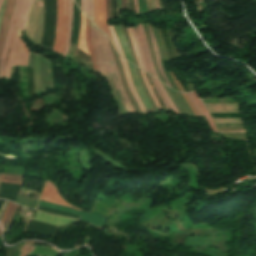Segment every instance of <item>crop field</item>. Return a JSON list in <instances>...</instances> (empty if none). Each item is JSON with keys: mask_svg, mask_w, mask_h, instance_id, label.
Segmentation results:
<instances>
[{"mask_svg": "<svg viewBox=\"0 0 256 256\" xmlns=\"http://www.w3.org/2000/svg\"><path fill=\"white\" fill-rule=\"evenodd\" d=\"M91 36L94 51L96 53L98 72L103 76H111L116 88L118 97L121 101L122 109L125 114L135 112L128 97L123 89L121 78L115 65L114 57L111 52L108 38L98 28L91 23Z\"/></svg>", "mask_w": 256, "mask_h": 256, "instance_id": "8a807250", "label": "crop field"}, {"mask_svg": "<svg viewBox=\"0 0 256 256\" xmlns=\"http://www.w3.org/2000/svg\"><path fill=\"white\" fill-rule=\"evenodd\" d=\"M2 1H3V0H0V7H1Z\"/></svg>", "mask_w": 256, "mask_h": 256, "instance_id": "5866460e", "label": "crop field"}, {"mask_svg": "<svg viewBox=\"0 0 256 256\" xmlns=\"http://www.w3.org/2000/svg\"><path fill=\"white\" fill-rule=\"evenodd\" d=\"M34 220L41 221V222L48 223V224L57 225V226H60L63 224H68V223H73V222H78L76 220L53 216V215H49V214H44V213H40L38 211H37V214H36Z\"/></svg>", "mask_w": 256, "mask_h": 256, "instance_id": "e52e79f7", "label": "crop field"}, {"mask_svg": "<svg viewBox=\"0 0 256 256\" xmlns=\"http://www.w3.org/2000/svg\"><path fill=\"white\" fill-rule=\"evenodd\" d=\"M155 3H156L157 9H160L159 4H158V0H155Z\"/></svg>", "mask_w": 256, "mask_h": 256, "instance_id": "d32e631a", "label": "crop field"}, {"mask_svg": "<svg viewBox=\"0 0 256 256\" xmlns=\"http://www.w3.org/2000/svg\"><path fill=\"white\" fill-rule=\"evenodd\" d=\"M78 45H80L82 48H84L86 51H88L87 46H86V36H85V16L83 15L82 12H81V31H80Z\"/></svg>", "mask_w": 256, "mask_h": 256, "instance_id": "5142ce71", "label": "crop field"}, {"mask_svg": "<svg viewBox=\"0 0 256 256\" xmlns=\"http://www.w3.org/2000/svg\"><path fill=\"white\" fill-rule=\"evenodd\" d=\"M111 19L117 17V0H110Z\"/></svg>", "mask_w": 256, "mask_h": 256, "instance_id": "92a150f3", "label": "crop field"}, {"mask_svg": "<svg viewBox=\"0 0 256 256\" xmlns=\"http://www.w3.org/2000/svg\"><path fill=\"white\" fill-rule=\"evenodd\" d=\"M150 78H151L153 84L155 85V87H156V89H157V91H158V93H159V95H160V97H161L163 103L165 104L167 110H168V111H172V109L170 108V106H169L168 103L166 102V100H165V98H164V96H163L161 90L159 89L158 85L156 84L154 78L151 77V76H150Z\"/></svg>", "mask_w": 256, "mask_h": 256, "instance_id": "214f88e0", "label": "crop field"}, {"mask_svg": "<svg viewBox=\"0 0 256 256\" xmlns=\"http://www.w3.org/2000/svg\"><path fill=\"white\" fill-rule=\"evenodd\" d=\"M146 25L148 27V30H149V33H150V37H151V40H152V43H153V46H154L156 60H157V64H158L160 73H161V75H162L166 85H168V86H170L172 88L171 84L169 83V81H168V79H167V77H166V75H165V73H164V71H163V69L161 67L160 60H159V55H158V50H157V46H156V42H155V39H154V35H153V32H152L151 25H149V24H146Z\"/></svg>", "mask_w": 256, "mask_h": 256, "instance_id": "d1516ede", "label": "crop field"}, {"mask_svg": "<svg viewBox=\"0 0 256 256\" xmlns=\"http://www.w3.org/2000/svg\"><path fill=\"white\" fill-rule=\"evenodd\" d=\"M1 175V174H0Z\"/></svg>", "mask_w": 256, "mask_h": 256, "instance_id": "028f5c9d", "label": "crop field"}, {"mask_svg": "<svg viewBox=\"0 0 256 256\" xmlns=\"http://www.w3.org/2000/svg\"><path fill=\"white\" fill-rule=\"evenodd\" d=\"M134 5H135L136 14H138L139 13L138 0H134Z\"/></svg>", "mask_w": 256, "mask_h": 256, "instance_id": "d3111659", "label": "crop field"}, {"mask_svg": "<svg viewBox=\"0 0 256 256\" xmlns=\"http://www.w3.org/2000/svg\"><path fill=\"white\" fill-rule=\"evenodd\" d=\"M191 93H192L193 97L195 98V100L197 101V103L200 106V108L202 109V111H203V113H204V115H205V117H206V119H207V121H208V123H209V125H210V127L212 129V131L218 132L216 127L213 124L212 118L208 114V112H207L205 106L202 104L200 98L197 96V94L195 92H191Z\"/></svg>", "mask_w": 256, "mask_h": 256, "instance_id": "cbeb9de0", "label": "crop field"}, {"mask_svg": "<svg viewBox=\"0 0 256 256\" xmlns=\"http://www.w3.org/2000/svg\"><path fill=\"white\" fill-rule=\"evenodd\" d=\"M72 22H73V0H70V17H69V29H68V37H67V43H66V48L63 56L65 57L70 41H71V35H72Z\"/></svg>", "mask_w": 256, "mask_h": 256, "instance_id": "d9b57169", "label": "crop field"}, {"mask_svg": "<svg viewBox=\"0 0 256 256\" xmlns=\"http://www.w3.org/2000/svg\"><path fill=\"white\" fill-rule=\"evenodd\" d=\"M182 95L185 98L186 102L188 103L189 107L191 108L192 112L194 113L195 117H200L199 114L197 113V111L195 110V108L193 107V105L191 104L190 100L186 96V94L182 93Z\"/></svg>", "mask_w": 256, "mask_h": 256, "instance_id": "4177f3b9", "label": "crop field"}, {"mask_svg": "<svg viewBox=\"0 0 256 256\" xmlns=\"http://www.w3.org/2000/svg\"><path fill=\"white\" fill-rule=\"evenodd\" d=\"M18 207H19V205L12 204V203L9 202V204H8L4 214H3L2 220H1V223H2L3 228H4V233L8 232L9 225H10Z\"/></svg>", "mask_w": 256, "mask_h": 256, "instance_id": "d8731c3e", "label": "crop field"}, {"mask_svg": "<svg viewBox=\"0 0 256 256\" xmlns=\"http://www.w3.org/2000/svg\"><path fill=\"white\" fill-rule=\"evenodd\" d=\"M22 179H23V177H20V176H12V175L3 174L1 181L21 185Z\"/></svg>", "mask_w": 256, "mask_h": 256, "instance_id": "4a817a6b", "label": "crop field"}, {"mask_svg": "<svg viewBox=\"0 0 256 256\" xmlns=\"http://www.w3.org/2000/svg\"><path fill=\"white\" fill-rule=\"evenodd\" d=\"M155 80H156V79H155ZM156 81H157V83L159 84V86H160V88H161L163 94L165 95V97H166V99H167L169 105L172 107V109H173V111L175 112V114H179L178 111L175 109V107H174L172 101L170 100L169 96L167 95L166 91L164 90V88H163L162 84L160 83V81H158V80H156Z\"/></svg>", "mask_w": 256, "mask_h": 256, "instance_id": "00972430", "label": "crop field"}, {"mask_svg": "<svg viewBox=\"0 0 256 256\" xmlns=\"http://www.w3.org/2000/svg\"><path fill=\"white\" fill-rule=\"evenodd\" d=\"M135 29H136V32H137V35H138V38H139V42H140V45H141V49H142L144 60H145L146 66H147V70H148L149 74H151V70H150V67H149V64H148V60H147V56H146L145 46H144V43H143V40H142V37H141V34H140L138 26H136Z\"/></svg>", "mask_w": 256, "mask_h": 256, "instance_id": "733c2abd", "label": "crop field"}, {"mask_svg": "<svg viewBox=\"0 0 256 256\" xmlns=\"http://www.w3.org/2000/svg\"><path fill=\"white\" fill-rule=\"evenodd\" d=\"M29 51L27 50L26 46L19 41L14 65H22L26 66L27 58H28Z\"/></svg>", "mask_w": 256, "mask_h": 256, "instance_id": "5a996713", "label": "crop field"}, {"mask_svg": "<svg viewBox=\"0 0 256 256\" xmlns=\"http://www.w3.org/2000/svg\"><path fill=\"white\" fill-rule=\"evenodd\" d=\"M131 29H132V32H133L134 37H135V41H136V44H137L138 51H139V53H140V57H141L143 69L146 71V67H145V63H144L143 56H142V53H141L140 45H139V42H138V39H137V35H136V33H135L134 28H131Z\"/></svg>", "mask_w": 256, "mask_h": 256, "instance_id": "a9b5d70f", "label": "crop field"}, {"mask_svg": "<svg viewBox=\"0 0 256 256\" xmlns=\"http://www.w3.org/2000/svg\"><path fill=\"white\" fill-rule=\"evenodd\" d=\"M41 200L49 201L52 203H55L57 205L73 208L75 210H79L65 202L64 199H62L56 190L54 184H52L49 180L46 181L45 186L43 188ZM81 211V210H79Z\"/></svg>", "mask_w": 256, "mask_h": 256, "instance_id": "412701ff", "label": "crop field"}, {"mask_svg": "<svg viewBox=\"0 0 256 256\" xmlns=\"http://www.w3.org/2000/svg\"><path fill=\"white\" fill-rule=\"evenodd\" d=\"M81 10L89 18V0H81Z\"/></svg>", "mask_w": 256, "mask_h": 256, "instance_id": "dafd665d", "label": "crop field"}, {"mask_svg": "<svg viewBox=\"0 0 256 256\" xmlns=\"http://www.w3.org/2000/svg\"><path fill=\"white\" fill-rule=\"evenodd\" d=\"M151 3H152V10H153V11L156 10L154 0H151Z\"/></svg>", "mask_w": 256, "mask_h": 256, "instance_id": "1d83c4d3", "label": "crop field"}, {"mask_svg": "<svg viewBox=\"0 0 256 256\" xmlns=\"http://www.w3.org/2000/svg\"><path fill=\"white\" fill-rule=\"evenodd\" d=\"M147 8H148V12L152 11L151 10L150 0H147Z\"/></svg>", "mask_w": 256, "mask_h": 256, "instance_id": "bd1437ed", "label": "crop field"}, {"mask_svg": "<svg viewBox=\"0 0 256 256\" xmlns=\"http://www.w3.org/2000/svg\"><path fill=\"white\" fill-rule=\"evenodd\" d=\"M138 25H139V27H140V31H141V33H142V36H143V39H144V42H145V46H146L147 53H148V59H149V63H150V66H151L153 75H154V77L157 78L156 73H155V70H154V67H153V64H152V59H151L150 51H149L148 44H147V41H146V37H145V35H144L143 29H142V27H141V24H138Z\"/></svg>", "mask_w": 256, "mask_h": 256, "instance_id": "bc2a9ffb", "label": "crop field"}, {"mask_svg": "<svg viewBox=\"0 0 256 256\" xmlns=\"http://www.w3.org/2000/svg\"><path fill=\"white\" fill-rule=\"evenodd\" d=\"M93 13H94V24L97 25L101 30H103L114 43L108 24L106 22L104 0H93Z\"/></svg>", "mask_w": 256, "mask_h": 256, "instance_id": "34b2d1b8", "label": "crop field"}, {"mask_svg": "<svg viewBox=\"0 0 256 256\" xmlns=\"http://www.w3.org/2000/svg\"><path fill=\"white\" fill-rule=\"evenodd\" d=\"M90 19L93 21V14H92V0H90Z\"/></svg>", "mask_w": 256, "mask_h": 256, "instance_id": "750c4746", "label": "crop field"}, {"mask_svg": "<svg viewBox=\"0 0 256 256\" xmlns=\"http://www.w3.org/2000/svg\"><path fill=\"white\" fill-rule=\"evenodd\" d=\"M170 74H171V77H172L173 81L175 82L177 87L180 89V91H183L181 86H180V84H179V82H178V80L176 79L175 75L173 74V72H170Z\"/></svg>", "mask_w": 256, "mask_h": 256, "instance_id": "eef30255", "label": "crop field"}, {"mask_svg": "<svg viewBox=\"0 0 256 256\" xmlns=\"http://www.w3.org/2000/svg\"><path fill=\"white\" fill-rule=\"evenodd\" d=\"M69 0H58V22L53 50L63 54L68 28Z\"/></svg>", "mask_w": 256, "mask_h": 256, "instance_id": "ac0d7876", "label": "crop field"}, {"mask_svg": "<svg viewBox=\"0 0 256 256\" xmlns=\"http://www.w3.org/2000/svg\"><path fill=\"white\" fill-rule=\"evenodd\" d=\"M7 204H8V202L6 201L5 204H4V206H3V208H2V210H1V212H0V217H1V214H2L4 208H5V206H6Z\"/></svg>", "mask_w": 256, "mask_h": 256, "instance_id": "120bbe31", "label": "crop field"}, {"mask_svg": "<svg viewBox=\"0 0 256 256\" xmlns=\"http://www.w3.org/2000/svg\"><path fill=\"white\" fill-rule=\"evenodd\" d=\"M22 4H23V0H21L19 12H18V15H17V17H16V19H15V23H14V27H13L11 39H10L9 46H8V50H7V54H6V59H5V64H4V70H3L2 79H4L5 76H6L9 54H10V51H11V49H12V45H13V41H14V36H15L16 27H17V23H18V20H19V16H20Z\"/></svg>", "mask_w": 256, "mask_h": 256, "instance_id": "3316defc", "label": "crop field"}, {"mask_svg": "<svg viewBox=\"0 0 256 256\" xmlns=\"http://www.w3.org/2000/svg\"><path fill=\"white\" fill-rule=\"evenodd\" d=\"M6 4V0L3 1L2 7H1V11H0V22H1V18H2V14H3V10Z\"/></svg>", "mask_w": 256, "mask_h": 256, "instance_id": "ae1a2a85", "label": "crop field"}, {"mask_svg": "<svg viewBox=\"0 0 256 256\" xmlns=\"http://www.w3.org/2000/svg\"><path fill=\"white\" fill-rule=\"evenodd\" d=\"M187 95L189 96L190 100L192 101V103L194 104V106L196 107V109L198 110L200 116L203 117V114H202L200 108L198 107V105L196 104V102L194 101V99H193L191 93H187Z\"/></svg>", "mask_w": 256, "mask_h": 256, "instance_id": "730fd06b", "label": "crop field"}, {"mask_svg": "<svg viewBox=\"0 0 256 256\" xmlns=\"http://www.w3.org/2000/svg\"><path fill=\"white\" fill-rule=\"evenodd\" d=\"M29 5H30V0H25L24 5H23V9H22V12H21V16H20L17 31L21 30V29H24V23L26 21ZM18 41H19V36L16 32L15 41H14V45H13V49H12V53H11V57H10V61H9V66H8V71H7L6 78H9V75H10V72H11V68H12L14 57H15Z\"/></svg>", "mask_w": 256, "mask_h": 256, "instance_id": "dd49c442", "label": "crop field"}, {"mask_svg": "<svg viewBox=\"0 0 256 256\" xmlns=\"http://www.w3.org/2000/svg\"><path fill=\"white\" fill-rule=\"evenodd\" d=\"M19 2H20V0L16 1V5H15V8H14V12H13V15H12V19H11V23H10L7 39H6V44H5V47H4V50H3V54H2V58H1V63H0V79H1V76H2L4 58H5V54H6V50H7V46H8V42H9V38H10V34H11V30H12V26H13V22H14V19H15L16 15H17Z\"/></svg>", "mask_w": 256, "mask_h": 256, "instance_id": "28ad6ade", "label": "crop field"}, {"mask_svg": "<svg viewBox=\"0 0 256 256\" xmlns=\"http://www.w3.org/2000/svg\"><path fill=\"white\" fill-rule=\"evenodd\" d=\"M16 0H7V4L4 10L1 27H0V57L5 43L10 18L13 10V6Z\"/></svg>", "mask_w": 256, "mask_h": 256, "instance_id": "f4fd0767", "label": "crop field"}, {"mask_svg": "<svg viewBox=\"0 0 256 256\" xmlns=\"http://www.w3.org/2000/svg\"><path fill=\"white\" fill-rule=\"evenodd\" d=\"M86 35H87V45L91 54L93 66H94V72L97 71V65H96V59L95 54L93 52L92 43H91V37H90V20L86 18Z\"/></svg>", "mask_w": 256, "mask_h": 256, "instance_id": "22f410ed", "label": "crop field"}]
</instances>
